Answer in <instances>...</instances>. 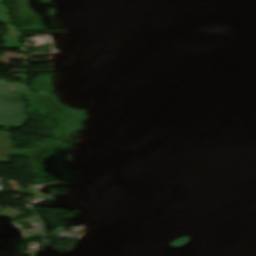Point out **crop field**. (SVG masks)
<instances>
[{
	"instance_id": "1",
	"label": "crop field",
	"mask_w": 256,
	"mask_h": 256,
	"mask_svg": "<svg viewBox=\"0 0 256 256\" xmlns=\"http://www.w3.org/2000/svg\"><path fill=\"white\" fill-rule=\"evenodd\" d=\"M23 91H0V126L22 129L30 120L22 100Z\"/></svg>"
},
{
	"instance_id": "2",
	"label": "crop field",
	"mask_w": 256,
	"mask_h": 256,
	"mask_svg": "<svg viewBox=\"0 0 256 256\" xmlns=\"http://www.w3.org/2000/svg\"><path fill=\"white\" fill-rule=\"evenodd\" d=\"M8 32H9V35H5L2 39L3 40H18L17 36H16V29L14 27V25H11V24H5Z\"/></svg>"
},
{
	"instance_id": "3",
	"label": "crop field",
	"mask_w": 256,
	"mask_h": 256,
	"mask_svg": "<svg viewBox=\"0 0 256 256\" xmlns=\"http://www.w3.org/2000/svg\"><path fill=\"white\" fill-rule=\"evenodd\" d=\"M17 42L18 41H6L4 48H22Z\"/></svg>"
}]
</instances>
